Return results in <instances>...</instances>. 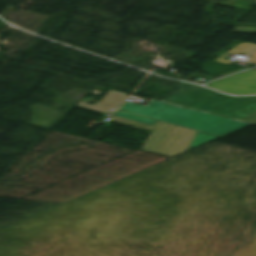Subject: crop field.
<instances>
[{"label":"crop field","mask_w":256,"mask_h":256,"mask_svg":"<svg viewBox=\"0 0 256 256\" xmlns=\"http://www.w3.org/2000/svg\"><path fill=\"white\" fill-rule=\"evenodd\" d=\"M127 93L118 92L114 90H108L104 97L93 105H88L79 102L77 106L89 108L92 110L104 112L110 114L113 112L127 97Z\"/></svg>","instance_id":"5"},{"label":"crop field","mask_w":256,"mask_h":256,"mask_svg":"<svg viewBox=\"0 0 256 256\" xmlns=\"http://www.w3.org/2000/svg\"><path fill=\"white\" fill-rule=\"evenodd\" d=\"M115 116L154 126L157 120L198 131L188 150L250 124L151 100L147 107L126 102Z\"/></svg>","instance_id":"1"},{"label":"crop field","mask_w":256,"mask_h":256,"mask_svg":"<svg viewBox=\"0 0 256 256\" xmlns=\"http://www.w3.org/2000/svg\"><path fill=\"white\" fill-rule=\"evenodd\" d=\"M112 122L151 131L141 150L173 157L187 151L196 131L173 126L157 121L154 127L129 121L118 117H110Z\"/></svg>","instance_id":"3"},{"label":"crop field","mask_w":256,"mask_h":256,"mask_svg":"<svg viewBox=\"0 0 256 256\" xmlns=\"http://www.w3.org/2000/svg\"><path fill=\"white\" fill-rule=\"evenodd\" d=\"M206 86L238 95L256 94V70L250 69L214 82Z\"/></svg>","instance_id":"4"},{"label":"crop field","mask_w":256,"mask_h":256,"mask_svg":"<svg viewBox=\"0 0 256 256\" xmlns=\"http://www.w3.org/2000/svg\"><path fill=\"white\" fill-rule=\"evenodd\" d=\"M254 49H256V45H253V44H247V43H244V44H237L235 47H233L232 49H230L228 52L226 53H223L220 57H218L215 61L216 62H222V63H228V64H232V62H229V61H224L223 58L228 54H234L236 55V53H239V52H248L250 53L251 51H253Z\"/></svg>","instance_id":"6"},{"label":"crop field","mask_w":256,"mask_h":256,"mask_svg":"<svg viewBox=\"0 0 256 256\" xmlns=\"http://www.w3.org/2000/svg\"><path fill=\"white\" fill-rule=\"evenodd\" d=\"M248 61L255 62L256 63V51L252 54V56L249 58Z\"/></svg>","instance_id":"7"},{"label":"crop field","mask_w":256,"mask_h":256,"mask_svg":"<svg viewBox=\"0 0 256 256\" xmlns=\"http://www.w3.org/2000/svg\"><path fill=\"white\" fill-rule=\"evenodd\" d=\"M256 69V68H255Z\"/></svg>","instance_id":"8"},{"label":"crop field","mask_w":256,"mask_h":256,"mask_svg":"<svg viewBox=\"0 0 256 256\" xmlns=\"http://www.w3.org/2000/svg\"><path fill=\"white\" fill-rule=\"evenodd\" d=\"M177 86L182 89L161 101L256 124V96L230 97L185 82Z\"/></svg>","instance_id":"2"}]
</instances>
